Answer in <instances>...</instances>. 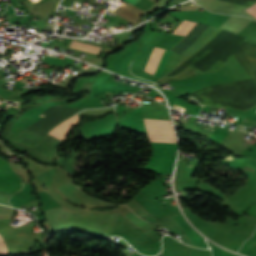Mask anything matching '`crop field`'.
Here are the masks:
<instances>
[{
    "instance_id": "1",
    "label": "crop field",
    "mask_w": 256,
    "mask_h": 256,
    "mask_svg": "<svg viewBox=\"0 0 256 256\" xmlns=\"http://www.w3.org/2000/svg\"><path fill=\"white\" fill-rule=\"evenodd\" d=\"M143 120L150 141L176 143L172 125L169 120Z\"/></svg>"
},
{
    "instance_id": "2",
    "label": "crop field",
    "mask_w": 256,
    "mask_h": 256,
    "mask_svg": "<svg viewBox=\"0 0 256 256\" xmlns=\"http://www.w3.org/2000/svg\"><path fill=\"white\" fill-rule=\"evenodd\" d=\"M163 51H164L163 49L155 47V49L153 50V52H152V54H151V56L148 60V63L146 65L144 71H146L150 74H153ZM170 53H171L170 51H167V50L164 51V53H163V55H162V57L159 61V64H158V66H157L153 75H155L157 77H160V75H161V73H162V71L165 67V64L168 60V57H169Z\"/></svg>"
},
{
    "instance_id": "3",
    "label": "crop field",
    "mask_w": 256,
    "mask_h": 256,
    "mask_svg": "<svg viewBox=\"0 0 256 256\" xmlns=\"http://www.w3.org/2000/svg\"><path fill=\"white\" fill-rule=\"evenodd\" d=\"M79 122L78 116L75 115L71 118H69L68 120H66L65 122L59 124L56 128L52 129L50 131V134L59 137L61 139H65L67 133L71 130V128L77 123ZM60 139V140H61ZM62 140V141H63Z\"/></svg>"
},
{
    "instance_id": "4",
    "label": "crop field",
    "mask_w": 256,
    "mask_h": 256,
    "mask_svg": "<svg viewBox=\"0 0 256 256\" xmlns=\"http://www.w3.org/2000/svg\"><path fill=\"white\" fill-rule=\"evenodd\" d=\"M71 48H75V49H79V50H83V51H88V52H92V53H96L98 54L100 48L94 45H90V44H85V43H81V42H75L72 41Z\"/></svg>"
},
{
    "instance_id": "5",
    "label": "crop field",
    "mask_w": 256,
    "mask_h": 256,
    "mask_svg": "<svg viewBox=\"0 0 256 256\" xmlns=\"http://www.w3.org/2000/svg\"><path fill=\"white\" fill-rule=\"evenodd\" d=\"M195 24H196L195 22L184 20L173 33L186 36L188 32L194 27Z\"/></svg>"
},
{
    "instance_id": "6",
    "label": "crop field",
    "mask_w": 256,
    "mask_h": 256,
    "mask_svg": "<svg viewBox=\"0 0 256 256\" xmlns=\"http://www.w3.org/2000/svg\"><path fill=\"white\" fill-rule=\"evenodd\" d=\"M246 11L256 17V4L252 5L248 9H246Z\"/></svg>"
},
{
    "instance_id": "7",
    "label": "crop field",
    "mask_w": 256,
    "mask_h": 256,
    "mask_svg": "<svg viewBox=\"0 0 256 256\" xmlns=\"http://www.w3.org/2000/svg\"><path fill=\"white\" fill-rule=\"evenodd\" d=\"M125 1H127V2H129V3L134 5L138 0H125Z\"/></svg>"
},
{
    "instance_id": "8",
    "label": "crop field",
    "mask_w": 256,
    "mask_h": 256,
    "mask_svg": "<svg viewBox=\"0 0 256 256\" xmlns=\"http://www.w3.org/2000/svg\"><path fill=\"white\" fill-rule=\"evenodd\" d=\"M244 170H247V171L251 172V170H248V169H245V168H244Z\"/></svg>"
},
{
    "instance_id": "9",
    "label": "crop field",
    "mask_w": 256,
    "mask_h": 256,
    "mask_svg": "<svg viewBox=\"0 0 256 256\" xmlns=\"http://www.w3.org/2000/svg\"><path fill=\"white\" fill-rule=\"evenodd\" d=\"M176 107V105H174V108Z\"/></svg>"
}]
</instances>
